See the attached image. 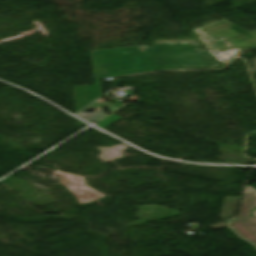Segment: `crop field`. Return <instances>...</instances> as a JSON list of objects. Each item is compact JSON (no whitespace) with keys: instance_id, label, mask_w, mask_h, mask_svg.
I'll return each mask as SVG.
<instances>
[{"instance_id":"obj_4","label":"crop field","mask_w":256,"mask_h":256,"mask_svg":"<svg viewBox=\"0 0 256 256\" xmlns=\"http://www.w3.org/2000/svg\"><path fill=\"white\" fill-rule=\"evenodd\" d=\"M238 197L225 196L222 209L218 215L220 218L233 217L236 209Z\"/></svg>"},{"instance_id":"obj_2","label":"crop field","mask_w":256,"mask_h":256,"mask_svg":"<svg viewBox=\"0 0 256 256\" xmlns=\"http://www.w3.org/2000/svg\"><path fill=\"white\" fill-rule=\"evenodd\" d=\"M204 40L217 52L244 50L256 46V32L249 33L225 21L199 30Z\"/></svg>"},{"instance_id":"obj_5","label":"crop field","mask_w":256,"mask_h":256,"mask_svg":"<svg viewBox=\"0 0 256 256\" xmlns=\"http://www.w3.org/2000/svg\"><path fill=\"white\" fill-rule=\"evenodd\" d=\"M227 222H228V221L223 222V223H220V224H216V225H213V226H209V227L212 228V229H214V230H216V229L225 227Z\"/></svg>"},{"instance_id":"obj_1","label":"crop field","mask_w":256,"mask_h":256,"mask_svg":"<svg viewBox=\"0 0 256 256\" xmlns=\"http://www.w3.org/2000/svg\"><path fill=\"white\" fill-rule=\"evenodd\" d=\"M200 50L192 41H174L157 42V46L152 48L91 51L95 85L73 87L76 112L100 96L99 78L157 69L212 66V62Z\"/></svg>"},{"instance_id":"obj_3","label":"crop field","mask_w":256,"mask_h":256,"mask_svg":"<svg viewBox=\"0 0 256 256\" xmlns=\"http://www.w3.org/2000/svg\"><path fill=\"white\" fill-rule=\"evenodd\" d=\"M256 207V190L247 185L238 218L231 224L243 237L256 244V219L249 217V211ZM256 215V209L253 211Z\"/></svg>"},{"instance_id":"obj_6","label":"crop field","mask_w":256,"mask_h":256,"mask_svg":"<svg viewBox=\"0 0 256 256\" xmlns=\"http://www.w3.org/2000/svg\"><path fill=\"white\" fill-rule=\"evenodd\" d=\"M253 73L256 74V59H253Z\"/></svg>"}]
</instances>
